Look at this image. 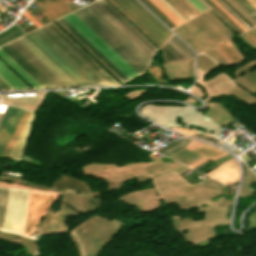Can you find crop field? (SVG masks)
Instances as JSON below:
<instances>
[{
    "mask_svg": "<svg viewBox=\"0 0 256 256\" xmlns=\"http://www.w3.org/2000/svg\"><path fill=\"white\" fill-rule=\"evenodd\" d=\"M41 29L46 34H48L61 48H63L75 61H77L100 84H119L54 22L41 27Z\"/></svg>",
    "mask_w": 256,
    "mask_h": 256,
    "instance_id": "crop-field-1",
    "label": "crop field"
},
{
    "mask_svg": "<svg viewBox=\"0 0 256 256\" xmlns=\"http://www.w3.org/2000/svg\"><path fill=\"white\" fill-rule=\"evenodd\" d=\"M23 112H24L23 109L9 106V108L0 124V156L7 144V142L9 141L16 125L18 124ZM28 114H29V111L25 110V112H24L19 124L17 125L10 141L8 142L2 156L7 157V155L9 153L17 135L19 134ZM32 114H33V112H30L20 134L18 135V137L8 155V157L19 159L20 153H21V150L23 147V143L25 140L27 128H28Z\"/></svg>",
    "mask_w": 256,
    "mask_h": 256,
    "instance_id": "crop-field-2",
    "label": "crop field"
},
{
    "mask_svg": "<svg viewBox=\"0 0 256 256\" xmlns=\"http://www.w3.org/2000/svg\"><path fill=\"white\" fill-rule=\"evenodd\" d=\"M139 74L148 66L85 7L73 12Z\"/></svg>",
    "mask_w": 256,
    "mask_h": 256,
    "instance_id": "crop-field-3",
    "label": "crop field"
},
{
    "mask_svg": "<svg viewBox=\"0 0 256 256\" xmlns=\"http://www.w3.org/2000/svg\"><path fill=\"white\" fill-rule=\"evenodd\" d=\"M158 45H162L172 33L155 19L136 0H110Z\"/></svg>",
    "mask_w": 256,
    "mask_h": 256,
    "instance_id": "crop-field-4",
    "label": "crop field"
},
{
    "mask_svg": "<svg viewBox=\"0 0 256 256\" xmlns=\"http://www.w3.org/2000/svg\"><path fill=\"white\" fill-rule=\"evenodd\" d=\"M129 79L139 75L73 13L63 17Z\"/></svg>",
    "mask_w": 256,
    "mask_h": 256,
    "instance_id": "crop-field-5",
    "label": "crop field"
},
{
    "mask_svg": "<svg viewBox=\"0 0 256 256\" xmlns=\"http://www.w3.org/2000/svg\"><path fill=\"white\" fill-rule=\"evenodd\" d=\"M28 193L29 191L11 189L5 231L21 234Z\"/></svg>",
    "mask_w": 256,
    "mask_h": 256,
    "instance_id": "crop-field-6",
    "label": "crop field"
},
{
    "mask_svg": "<svg viewBox=\"0 0 256 256\" xmlns=\"http://www.w3.org/2000/svg\"><path fill=\"white\" fill-rule=\"evenodd\" d=\"M42 54H44L56 67H58L77 86L89 84L80 76L63 58H61L47 43L34 31L24 35Z\"/></svg>",
    "mask_w": 256,
    "mask_h": 256,
    "instance_id": "crop-field-7",
    "label": "crop field"
},
{
    "mask_svg": "<svg viewBox=\"0 0 256 256\" xmlns=\"http://www.w3.org/2000/svg\"><path fill=\"white\" fill-rule=\"evenodd\" d=\"M29 65H31L53 87L68 86L18 39L8 43Z\"/></svg>",
    "mask_w": 256,
    "mask_h": 256,
    "instance_id": "crop-field-8",
    "label": "crop field"
},
{
    "mask_svg": "<svg viewBox=\"0 0 256 256\" xmlns=\"http://www.w3.org/2000/svg\"><path fill=\"white\" fill-rule=\"evenodd\" d=\"M65 20V19H64ZM62 18L56 20L60 25H62L71 35H73L83 46H85L94 56H96L105 66H107L117 77H119L123 82L129 79L122 74L110 61H108L97 49H95L83 36H81L73 27H71ZM95 57V58H96ZM106 67V68H107ZM107 68V69H108ZM108 69V70H109ZM118 78V79H119ZM119 79V80H120ZM120 80V81H121ZM121 81V82H122ZM122 82V83H123Z\"/></svg>",
    "mask_w": 256,
    "mask_h": 256,
    "instance_id": "crop-field-9",
    "label": "crop field"
},
{
    "mask_svg": "<svg viewBox=\"0 0 256 256\" xmlns=\"http://www.w3.org/2000/svg\"><path fill=\"white\" fill-rule=\"evenodd\" d=\"M104 8L116 21H118L131 35H133L145 48L152 54L157 50L141 33H139L126 19H124L111 5L105 0L96 1Z\"/></svg>",
    "mask_w": 256,
    "mask_h": 256,
    "instance_id": "crop-field-10",
    "label": "crop field"
},
{
    "mask_svg": "<svg viewBox=\"0 0 256 256\" xmlns=\"http://www.w3.org/2000/svg\"><path fill=\"white\" fill-rule=\"evenodd\" d=\"M47 3L41 4L37 0H33V3L40 7L42 10L38 11L44 16L49 22L73 11L64 1L62 0H45Z\"/></svg>",
    "mask_w": 256,
    "mask_h": 256,
    "instance_id": "crop-field-11",
    "label": "crop field"
},
{
    "mask_svg": "<svg viewBox=\"0 0 256 256\" xmlns=\"http://www.w3.org/2000/svg\"><path fill=\"white\" fill-rule=\"evenodd\" d=\"M42 39H44L61 57H63L80 75H82L90 84H99L92 78L79 64H77L64 50H62L50 37H48L40 28L34 30ZM43 40V41H44ZM44 41V42H45ZM45 42V43H46Z\"/></svg>",
    "mask_w": 256,
    "mask_h": 256,
    "instance_id": "crop-field-12",
    "label": "crop field"
},
{
    "mask_svg": "<svg viewBox=\"0 0 256 256\" xmlns=\"http://www.w3.org/2000/svg\"><path fill=\"white\" fill-rule=\"evenodd\" d=\"M168 44L173 47L180 55H182L185 59L188 58H192L193 53L184 45L182 44L175 36H172L168 41ZM168 47H170L167 43H165ZM163 45V51L169 55L173 60H178V59H184L182 56H180L173 48H171L177 55V56L170 48H168L166 45ZM163 57H164V61L165 62H169L172 61L169 57H167L164 53H163Z\"/></svg>",
    "mask_w": 256,
    "mask_h": 256,
    "instance_id": "crop-field-13",
    "label": "crop field"
},
{
    "mask_svg": "<svg viewBox=\"0 0 256 256\" xmlns=\"http://www.w3.org/2000/svg\"><path fill=\"white\" fill-rule=\"evenodd\" d=\"M166 1L169 2L187 20L199 14L200 10L206 8L199 0H189L199 11L188 0H166Z\"/></svg>",
    "mask_w": 256,
    "mask_h": 256,
    "instance_id": "crop-field-14",
    "label": "crop field"
},
{
    "mask_svg": "<svg viewBox=\"0 0 256 256\" xmlns=\"http://www.w3.org/2000/svg\"><path fill=\"white\" fill-rule=\"evenodd\" d=\"M85 7L149 65L151 60L146 55H144L134 44H132L122 33H120L109 21H107L97 10H95L90 4Z\"/></svg>",
    "mask_w": 256,
    "mask_h": 256,
    "instance_id": "crop-field-15",
    "label": "crop field"
},
{
    "mask_svg": "<svg viewBox=\"0 0 256 256\" xmlns=\"http://www.w3.org/2000/svg\"><path fill=\"white\" fill-rule=\"evenodd\" d=\"M53 187L60 192L80 191L82 193L88 194L85 183L66 177L64 175H62L61 178L55 181Z\"/></svg>",
    "mask_w": 256,
    "mask_h": 256,
    "instance_id": "crop-field-16",
    "label": "crop field"
},
{
    "mask_svg": "<svg viewBox=\"0 0 256 256\" xmlns=\"http://www.w3.org/2000/svg\"><path fill=\"white\" fill-rule=\"evenodd\" d=\"M0 48L4 52H6L15 62H17L26 72H28L43 87H52L31 66H29L15 51H13L7 44Z\"/></svg>",
    "mask_w": 256,
    "mask_h": 256,
    "instance_id": "crop-field-17",
    "label": "crop field"
},
{
    "mask_svg": "<svg viewBox=\"0 0 256 256\" xmlns=\"http://www.w3.org/2000/svg\"><path fill=\"white\" fill-rule=\"evenodd\" d=\"M91 5L97 9L107 20H109L119 31H121L132 43H134L144 54L150 59L153 55L145 49L133 36H131L118 22H116L104 9H102L96 2Z\"/></svg>",
    "mask_w": 256,
    "mask_h": 256,
    "instance_id": "crop-field-18",
    "label": "crop field"
},
{
    "mask_svg": "<svg viewBox=\"0 0 256 256\" xmlns=\"http://www.w3.org/2000/svg\"><path fill=\"white\" fill-rule=\"evenodd\" d=\"M18 39L23 44H25L36 56H38L49 68H51L69 86H76L58 68H56L44 55H42L30 42H28L23 36Z\"/></svg>",
    "mask_w": 256,
    "mask_h": 256,
    "instance_id": "crop-field-19",
    "label": "crop field"
},
{
    "mask_svg": "<svg viewBox=\"0 0 256 256\" xmlns=\"http://www.w3.org/2000/svg\"><path fill=\"white\" fill-rule=\"evenodd\" d=\"M0 77L13 89L29 88L0 61Z\"/></svg>",
    "mask_w": 256,
    "mask_h": 256,
    "instance_id": "crop-field-20",
    "label": "crop field"
},
{
    "mask_svg": "<svg viewBox=\"0 0 256 256\" xmlns=\"http://www.w3.org/2000/svg\"><path fill=\"white\" fill-rule=\"evenodd\" d=\"M0 57L14 69L26 82H28L33 88L42 87L37 83L28 73H26L17 63H15L6 53L0 49Z\"/></svg>",
    "mask_w": 256,
    "mask_h": 256,
    "instance_id": "crop-field-21",
    "label": "crop field"
},
{
    "mask_svg": "<svg viewBox=\"0 0 256 256\" xmlns=\"http://www.w3.org/2000/svg\"><path fill=\"white\" fill-rule=\"evenodd\" d=\"M183 26L189 30L201 43H203L208 49L216 45L211 39H209L197 26H195L190 20L183 24Z\"/></svg>",
    "mask_w": 256,
    "mask_h": 256,
    "instance_id": "crop-field-22",
    "label": "crop field"
},
{
    "mask_svg": "<svg viewBox=\"0 0 256 256\" xmlns=\"http://www.w3.org/2000/svg\"><path fill=\"white\" fill-rule=\"evenodd\" d=\"M155 7H157L169 20H171L176 26L180 25L184 21L177 16L167 5L161 0H149Z\"/></svg>",
    "mask_w": 256,
    "mask_h": 256,
    "instance_id": "crop-field-23",
    "label": "crop field"
},
{
    "mask_svg": "<svg viewBox=\"0 0 256 256\" xmlns=\"http://www.w3.org/2000/svg\"><path fill=\"white\" fill-rule=\"evenodd\" d=\"M23 34H25V32L14 23L12 27L0 33V45L10 40H13Z\"/></svg>",
    "mask_w": 256,
    "mask_h": 256,
    "instance_id": "crop-field-24",
    "label": "crop field"
},
{
    "mask_svg": "<svg viewBox=\"0 0 256 256\" xmlns=\"http://www.w3.org/2000/svg\"><path fill=\"white\" fill-rule=\"evenodd\" d=\"M191 142V140H188V139H185V138H180L176 143L164 148V149H161L157 152H160L166 156L184 148L187 144H189Z\"/></svg>",
    "mask_w": 256,
    "mask_h": 256,
    "instance_id": "crop-field-25",
    "label": "crop field"
},
{
    "mask_svg": "<svg viewBox=\"0 0 256 256\" xmlns=\"http://www.w3.org/2000/svg\"><path fill=\"white\" fill-rule=\"evenodd\" d=\"M140 1L143 2L149 9H151L169 28L175 27V25L169 21L158 9H156L148 0Z\"/></svg>",
    "mask_w": 256,
    "mask_h": 256,
    "instance_id": "crop-field-26",
    "label": "crop field"
},
{
    "mask_svg": "<svg viewBox=\"0 0 256 256\" xmlns=\"http://www.w3.org/2000/svg\"><path fill=\"white\" fill-rule=\"evenodd\" d=\"M208 5H210L225 21H227L238 33L244 32L239 28L232 20H230L223 12H221L210 0H204Z\"/></svg>",
    "mask_w": 256,
    "mask_h": 256,
    "instance_id": "crop-field-27",
    "label": "crop field"
},
{
    "mask_svg": "<svg viewBox=\"0 0 256 256\" xmlns=\"http://www.w3.org/2000/svg\"><path fill=\"white\" fill-rule=\"evenodd\" d=\"M240 5L251 17L256 20V9L246 0H234Z\"/></svg>",
    "mask_w": 256,
    "mask_h": 256,
    "instance_id": "crop-field-28",
    "label": "crop field"
},
{
    "mask_svg": "<svg viewBox=\"0 0 256 256\" xmlns=\"http://www.w3.org/2000/svg\"><path fill=\"white\" fill-rule=\"evenodd\" d=\"M217 1L228 13H230L240 24H242L247 30L250 29L244 22H242L228 7H226L220 0Z\"/></svg>",
    "mask_w": 256,
    "mask_h": 256,
    "instance_id": "crop-field-29",
    "label": "crop field"
},
{
    "mask_svg": "<svg viewBox=\"0 0 256 256\" xmlns=\"http://www.w3.org/2000/svg\"><path fill=\"white\" fill-rule=\"evenodd\" d=\"M28 21H30L36 28L41 26V24L33 18L26 10L22 14Z\"/></svg>",
    "mask_w": 256,
    "mask_h": 256,
    "instance_id": "crop-field-30",
    "label": "crop field"
},
{
    "mask_svg": "<svg viewBox=\"0 0 256 256\" xmlns=\"http://www.w3.org/2000/svg\"><path fill=\"white\" fill-rule=\"evenodd\" d=\"M213 49L221 55L228 63L234 62L228 55H226L218 46L213 47Z\"/></svg>",
    "mask_w": 256,
    "mask_h": 256,
    "instance_id": "crop-field-31",
    "label": "crop field"
},
{
    "mask_svg": "<svg viewBox=\"0 0 256 256\" xmlns=\"http://www.w3.org/2000/svg\"><path fill=\"white\" fill-rule=\"evenodd\" d=\"M212 2H214L225 14H227L237 25H239L244 31H246V29L240 25L230 14H228L217 2H215L214 0H211Z\"/></svg>",
    "mask_w": 256,
    "mask_h": 256,
    "instance_id": "crop-field-32",
    "label": "crop field"
},
{
    "mask_svg": "<svg viewBox=\"0 0 256 256\" xmlns=\"http://www.w3.org/2000/svg\"><path fill=\"white\" fill-rule=\"evenodd\" d=\"M12 89L9 85H7L1 78H0V90Z\"/></svg>",
    "mask_w": 256,
    "mask_h": 256,
    "instance_id": "crop-field-33",
    "label": "crop field"
},
{
    "mask_svg": "<svg viewBox=\"0 0 256 256\" xmlns=\"http://www.w3.org/2000/svg\"><path fill=\"white\" fill-rule=\"evenodd\" d=\"M240 156L245 161V163H248V162L252 161V159H250L245 153L240 155Z\"/></svg>",
    "mask_w": 256,
    "mask_h": 256,
    "instance_id": "crop-field-34",
    "label": "crop field"
},
{
    "mask_svg": "<svg viewBox=\"0 0 256 256\" xmlns=\"http://www.w3.org/2000/svg\"><path fill=\"white\" fill-rule=\"evenodd\" d=\"M33 17H35L42 25L45 24L42 22L35 14H33L30 10L26 9Z\"/></svg>",
    "mask_w": 256,
    "mask_h": 256,
    "instance_id": "crop-field-35",
    "label": "crop field"
},
{
    "mask_svg": "<svg viewBox=\"0 0 256 256\" xmlns=\"http://www.w3.org/2000/svg\"><path fill=\"white\" fill-rule=\"evenodd\" d=\"M256 8V0H248Z\"/></svg>",
    "mask_w": 256,
    "mask_h": 256,
    "instance_id": "crop-field-36",
    "label": "crop field"
}]
</instances>
